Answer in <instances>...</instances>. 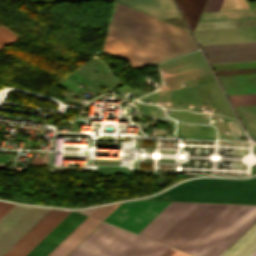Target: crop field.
Here are the masks:
<instances>
[{"instance_id":"obj_1","label":"crop field","mask_w":256,"mask_h":256,"mask_svg":"<svg viewBox=\"0 0 256 256\" xmlns=\"http://www.w3.org/2000/svg\"><path fill=\"white\" fill-rule=\"evenodd\" d=\"M255 220L256 206L232 205L185 252L207 256L218 247L209 256H220Z\"/></svg>"},{"instance_id":"obj_2","label":"crop field","mask_w":256,"mask_h":256,"mask_svg":"<svg viewBox=\"0 0 256 256\" xmlns=\"http://www.w3.org/2000/svg\"><path fill=\"white\" fill-rule=\"evenodd\" d=\"M154 243L102 222L67 256H142Z\"/></svg>"},{"instance_id":"obj_3","label":"crop field","mask_w":256,"mask_h":256,"mask_svg":"<svg viewBox=\"0 0 256 256\" xmlns=\"http://www.w3.org/2000/svg\"><path fill=\"white\" fill-rule=\"evenodd\" d=\"M230 206L196 203L158 242L184 251Z\"/></svg>"},{"instance_id":"obj_4","label":"crop field","mask_w":256,"mask_h":256,"mask_svg":"<svg viewBox=\"0 0 256 256\" xmlns=\"http://www.w3.org/2000/svg\"><path fill=\"white\" fill-rule=\"evenodd\" d=\"M50 209L15 205L0 219V256L5 254Z\"/></svg>"},{"instance_id":"obj_5","label":"crop field","mask_w":256,"mask_h":256,"mask_svg":"<svg viewBox=\"0 0 256 256\" xmlns=\"http://www.w3.org/2000/svg\"><path fill=\"white\" fill-rule=\"evenodd\" d=\"M170 202L135 200L122 203L105 222L138 233Z\"/></svg>"},{"instance_id":"obj_6","label":"crop field","mask_w":256,"mask_h":256,"mask_svg":"<svg viewBox=\"0 0 256 256\" xmlns=\"http://www.w3.org/2000/svg\"><path fill=\"white\" fill-rule=\"evenodd\" d=\"M70 211L51 209L31 228L5 255L25 256L42 240Z\"/></svg>"},{"instance_id":"obj_7","label":"crop field","mask_w":256,"mask_h":256,"mask_svg":"<svg viewBox=\"0 0 256 256\" xmlns=\"http://www.w3.org/2000/svg\"><path fill=\"white\" fill-rule=\"evenodd\" d=\"M209 62L256 60V42L202 46Z\"/></svg>"},{"instance_id":"obj_8","label":"crop field","mask_w":256,"mask_h":256,"mask_svg":"<svg viewBox=\"0 0 256 256\" xmlns=\"http://www.w3.org/2000/svg\"><path fill=\"white\" fill-rule=\"evenodd\" d=\"M195 203L171 202L139 234L157 241Z\"/></svg>"},{"instance_id":"obj_9","label":"crop field","mask_w":256,"mask_h":256,"mask_svg":"<svg viewBox=\"0 0 256 256\" xmlns=\"http://www.w3.org/2000/svg\"><path fill=\"white\" fill-rule=\"evenodd\" d=\"M86 215L71 211L42 241L26 256H46Z\"/></svg>"},{"instance_id":"obj_10","label":"crop field","mask_w":256,"mask_h":256,"mask_svg":"<svg viewBox=\"0 0 256 256\" xmlns=\"http://www.w3.org/2000/svg\"><path fill=\"white\" fill-rule=\"evenodd\" d=\"M110 1V0H109ZM156 18L180 15L173 0H114Z\"/></svg>"},{"instance_id":"obj_11","label":"crop field","mask_w":256,"mask_h":256,"mask_svg":"<svg viewBox=\"0 0 256 256\" xmlns=\"http://www.w3.org/2000/svg\"><path fill=\"white\" fill-rule=\"evenodd\" d=\"M99 223L100 221L87 217L48 256H65Z\"/></svg>"},{"instance_id":"obj_12","label":"crop field","mask_w":256,"mask_h":256,"mask_svg":"<svg viewBox=\"0 0 256 256\" xmlns=\"http://www.w3.org/2000/svg\"><path fill=\"white\" fill-rule=\"evenodd\" d=\"M256 248V223L222 256H248Z\"/></svg>"},{"instance_id":"obj_13","label":"crop field","mask_w":256,"mask_h":256,"mask_svg":"<svg viewBox=\"0 0 256 256\" xmlns=\"http://www.w3.org/2000/svg\"><path fill=\"white\" fill-rule=\"evenodd\" d=\"M177 2L193 30L206 0H177Z\"/></svg>"},{"instance_id":"obj_14","label":"crop field","mask_w":256,"mask_h":256,"mask_svg":"<svg viewBox=\"0 0 256 256\" xmlns=\"http://www.w3.org/2000/svg\"><path fill=\"white\" fill-rule=\"evenodd\" d=\"M118 204L97 208L90 216L103 220Z\"/></svg>"},{"instance_id":"obj_15","label":"crop field","mask_w":256,"mask_h":256,"mask_svg":"<svg viewBox=\"0 0 256 256\" xmlns=\"http://www.w3.org/2000/svg\"><path fill=\"white\" fill-rule=\"evenodd\" d=\"M168 246L156 242L143 256H160Z\"/></svg>"},{"instance_id":"obj_16","label":"crop field","mask_w":256,"mask_h":256,"mask_svg":"<svg viewBox=\"0 0 256 256\" xmlns=\"http://www.w3.org/2000/svg\"><path fill=\"white\" fill-rule=\"evenodd\" d=\"M222 0H208L204 11L219 10Z\"/></svg>"},{"instance_id":"obj_17","label":"crop field","mask_w":256,"mask_h":256,"mask_svg":"<svg viewBox=\"0 0 256 256\" xmlns=\"http://www.w3.org/2000/svg\"><path fill=\"white\" fill-rule=\"evenodd\" d=\"M161 256H191V255L169 247Z\"/></svg>"},{"instance_id":"obj_18","label":"crop field","mask_w":256,"mask_h":256,"mask_svg":"<svg viewBox=\"0 0 256 256\" xmlns=\"http://www.w3.org/2000/svg\"><path fill=\"white\" fill-rule=\"evenodd\" d=\"M230 101H238V100H253L256 99V94L250 95H235V96H228Z\"/></svg>"},{"instance_id":"obj_19","label":"crop field","mask_w":256,"mask_h":256,"mask_svg":"<svg viewBox=\"0 0 256 256\" xmlns=\"http://www.w3.org/2000/svg\"><path fill=\"white\" fill-rule=\"evenodd\" d=\"M14 205L0 202V218L4 216Z\"/></svg>"},{"instance_id":"obj_20","label":"crop field","mask_w":256,"mask_h":256,"mask_svg":"<svg viewBox=\"0 0 256 256\" xmlns=\"http://www.w3.org/2000/svg\"><path fill=\"white\" fill-rule=\"evenodd\" d=\"M233 106H241V105H256V100L254 101H238V102H231Z\"/></svg>"},{"instance_id":"obj_21","label":"crop field","mask_w":256,"mask_h":256,"mask_svg":"<svg viewBox=\"0 0 256 256\" xmlns=\"http://www.w3.org/2000/svg\"><path fill=\"white\" fill-rule=\"evenodd\" d=\"M95 209H96V208H95ZM95 209L82 210V211H80V212H83V213L89 215V214H90L92 211H94Z\"/></svg>"},{"instance_id":"obj_22","label":"crop field","mask_w":256,"mask_h":256,"mask_svg":"<svg viewBox=\"0 0 256 256\" xmlns=\"http://www.w3.org/2000/svg\"><path fill=\"white\" fill-rule=\"evenodd\" d=\"M249 256H256V250L253 251Z\"/></svg>"}]
</instances>
